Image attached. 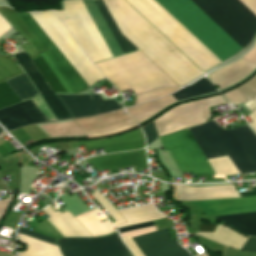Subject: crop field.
I'll use <instances>...</instances> for the list:
<instances>
[{"label":"crop field","instance_id":"4177f3b9","mask_svg":"<svg viewBox=\"0 0 256 256\" xmlns=\"http://www.w3.org/2000/svg\"><path fill=\"white\" fill-rule=\"evenodd\" d=\"M6 83L15 93V95L19 98L20 101L38 95L24 73L6 81Z\"/></svg>","mask_w":256,"mask_h":256},{"label":"crop field","instance_id":"c035e120","mask_svg":"<svg viewBox=\"0 0 256 256\" xmlns=\"http://www.w3.org/2000/svg\"><path fill=\"white\" fill-rule=\"evenodd\" d=\"M249 116L253 122L252 124H250V127L256 132V110Z\"/></svg>","mask_w":256,"mask_h":256},{"label":"crop field","instance_id":"cbeb9de0","mask_svg":"<svg viewBox=\"0 0 256 256\" xmlns=\"http://www.w3.org/2000/svg\"><path fill=\"white\" fill-rule=\"evenodd\" d=\"M42 121L48 119L31 100L0 110V123L8 131L24 124Z\"/></svg>","mask_w":256,"mask_h":256},{"label":"crop field","instance_id":"d3111659","mask_svg":"<svg viewBox=\"0 0 256 256\" xmlns=\"http://www.w3.org/2000/svg\"><path fill=\"white\" fill-rule=\"evenodd\" d=\"M22 73L12 58L0 56V82Z\"/></svg>","mask_w":256,"mask_h":256},{"label":"crop field","instance_id":"bc2a9ffb","mask_svg":"<svg viewBox=\"0 0 256 256\" xmlns=\"http://www.w3.org/2000/svg\"><path fill=\"white\" fill-rule=\"evenodd\" d=\"M256 65L239 59L236 62L221 68L207 77L220 89L226 88L249 75Z\"/></svg>","mask_w":256,"mask_h":256},{"label":"crop field","instance_id":"750c4746","mask_svg":"<svg viewBox=\"0 0 256 256\" xmlns=\"http://www.w3.org/2000/svg\"><path fill=\"white\" fill-rule=\"evenodd\" d=\"M92 196L99 202V204L108 212V214L116 221L114 225L125 222L122 216L114 209V207L105 199V197L97 190Z\"/></svg>","mask_w":256,"mask_h":256},{"label":"crop field","instance_id":"733c2abd","mask_svg":"<svg viewBox=\"0 0 256 256\" xmlns=\"http://www.w3.org/2000/svg\"><path fill=\"white\" fill-rule=\"evenodd\" d=\"M178 200L194 201L239 197L234 185H216L206 187L177 186Z\"/></svg>","mask_w":256,"mask_h":256},{"label":"crop field","instance_id":"ac0d7876","mask_svg":"<svg viewBox=\"0 0 256 256\" xmlns=\"http://www.w3.org/2000/svg\"><path fill=\"white\" fill-rule=\"evenodd\" d=\"M189 131L206 159L228 155L240 174L256 173V135L248 125L225 131L210 120ZM189 131L160 137L164 151H170L180 172L214 174Z\"/></svg>","mask_w":256,"mask_h":256},{"label":"crop field","instance_id":"d9b57169","mask_svg":"<svg viewBox=\"0 0 256 256\" xmlns=\"http://www.w3.org/2000/svg\"><path fill=\"white\" fill-rule=\"evenodd\" d=\"M97 171L132 166L133 170L147 168L145 150L115 153L86 159Z\"/></svg>","mask_w":256,"mask_h":256},{"label":"crop field","instance_id":"34b2d1b8","mask_svg":"<svg viewBox=\"0 0 256 256\" xmlns=\"http://www.w3.org/2000/svg\"><path fill=\"white\" fill-rule=\"evenodd\" d=\"M48 48L33 62L55 93H79L94 83L105 79L91 64L81 48L52 11L18 13Z\"/></svg>","mask_w":256,"mask_h":256},{"label":"crop field","instance_id":"5866460e","mask_svg":"<svg viewBox=\"0 0 256 256\" xmlns=\"http://www.w3.org/2000/svg\"><path fill=\"white\" fill-rule=\"evenodd\" d=\"M241 250L256 253V238H248Z\"/></svg>","mask_w":256,"mask_h":256},{"label":"crop field","instance_id":"e1f06a70","mask_svg":"<svg viewBox=\"0 0 256 256\" xmlns=\"http://www.w3.org/2000/svg\"><path fill=\"white\" fill-rule=\"evenodd\" d=\"M10 29V25L0 17V36L6 33Z\"/></svg>","mask_w":256,"mask_h":256},{"label":"crop field","instance_id":"a9b5d70f","mask_svg":"<svg viewBox=\"0 0 256 256\" xmlns=\"http://www.w3.org/2000/svg\"><path fill=\"white\" fill-rule=\"evenodd\" d=\"M174 102L177 101L170 95L166 98L158 99L147 104L127 109V112L131 114L138 123H141Z\"/></svg>","mask_w":256,"mask_h":256},{"label":"crop field","instance_id":"eef30255","mask_svg":"<svg viewBox=\"0 0 256 256\" xmlns=\"http://www.w3.org/2000/svg\"><path fill=\"white\" fill-rule=\"evenodd\" d=\"M49 136L83 134L74 121L40 126Z\"/></svg>","mask_w":256,"mask_h":256},{"label":"crop field","instance_id":"bd1437ed","mask_svg":"<svg viewBox=\"0 0 256 256\" xmlns=\"http://www.w3.org/2000/svg\"><path fill=\"white\" fill-rule=\"evenodd\" d=\"M19 102L5 82L0 83V109Z\"/></svg>","mask_w":256,"mask_h":256},{"label":"crop field","instance_id":"5a996713","mask_svg":"<svg viewBox=\"0 0 256 256\" xmlns=\"http://www.w3.org/2000/svg\"><path fill=\"white\" fill-rule=\"evenodd\" d=\"M57 243L64 256H132L117 233L101 238L58 239Z\"/></svg>","mask_w":256,"mask_h":256},{"label":"crop field","instance_id":"1d83c4d3","mask_svg":"<svg viewBox=\"0 0 256 256\" xmlns=\"http://www.w3.org/2000/svg\"><path fill=\"white\" fill-rule=\"evenodd\" d=\"M177 89H179V88H160V89H158L156 91H153V92L138 95L137 100H136V104L140 103V102H145V101H148V100H151V99H155V98L164 96L166 94H170V93L176 91Z\"/></svg>","mask_w":256,"mask_h":256},{"label":"crop field","instance_id":"d32e631a","mask_svg":"<svg viewBox=\"0 0 256 256\" xmlns=\"http://www.w3.org/2000/svg\"><path fill=\"white\" fill-rule=\"evenodd\" d=\"M145 135H146V139H147V145L150 144L153 140H155L156 138H158L155 128L153 126V123H150L144 127H142Z\"/></svg>","mask_w":256,"mask_h":256},{"label":"crop field","instance_id":"f4fd0767","mask_svg":"<svg viewBox=\"0 0 256 256\" xmlns=\"http://www.w3.org/2000/svg\"><path fill=\"white\" fill-rule=\"evenodd\" d=\"M94 1L123 54L137 51V49L120 33L102 0ZM94 1L83 0L113 57L122 55L119 46L117 45ZM83 2L82 0L64 1L65 11H55V13L65 23L76 41L93 63L112 58L110 51L101 38Z\"/></svg>","mask_w":256,"mask_h":256},{"label":"crop field","instance_id":"dafd665d","mask_svg":"<svg viewBox=\"0 0 256 256\" xmlns=\"http://www.w3.org/2000/svg\"><path fill=\"white\" fill-rule=\"evenodd\" d=\"M119 213L127 222L116 225L117 228L164 218L152 204L120 211Z\"/></svg>","mask_w":256,"mask_h":256},{"label":"crop field","instance_id":"00972430","mask_svg":"<svg viewBox=\"0 0 256 256\" xmlns=\"http://www.w3.org/2000/svg\"><path fill=\"white\" fill-rule=\"evenodd\" d=\"M98 212L99 211L97 208H95L88 212L77 215L75 218L93 237L103 236L115 232L116 229L108 221L101 223L98 220V218L94 215Z\"/></svg>","mask_w":256,"mask_h":256},{"label":"crop field","instance_id":"ae1a2a85","mask_svg":"<svg viewBox=\"0 0 256 256\" xmlns=\"http://www.w3.org/2000/svg\"><path fill=\"white\" fill-rule=\"evenodd\" d=\"M237 89L248 101L244 105L252 112L256 108V76Z\"/></svg>","mask_w":256,"mask_h":256},{"label":"crop field","instance_id":"dd49c442","mask_svg":"<svg viewBox=\"0 0 256 256\" xmlns=\"http://www.w3.org/2000/svg\"><path fill=\"white\" fill-rule=\"evenodd\" d=\"M204 73L222 63L155 0H126Z\"/></svg>","mask_w":256,"mask_h":256},{"label":"crop field","instance_id":"8a807250","mask_svg":"<svg viewBox=\"0 0 256 256\" xmlns=\"http://www.w3.org/2000/svg\"><path fill=\"white\" fill-rule=\"evenodd\" d=\"M221 61L246 47L256 33V0H157Z\"/></svg>","mask_w":256,"mask_h":256},{"label":"crop field","instance_id":"412701ff","mask_svg":"<svg viewBox=\"0 0 256 256\" xmlns=\"http://www.w3.org/2000/svg\"><path fill=\"white\" fill-rule=\"evenodd\" d=\"M121 33L178 86L203 73L124 0H103Z\"/></svg>","mask_w":256,"mask_h":256},{"label":"crop field","instance_id":"c21b1889","mask_svg":"<svg viewBox=\"0 0 256 256\" xmlns=\"http://www.w3.org/2000/svg\"><path fill=\"white\" fill-rule=\"evenodd\" d=\"M3 130L0 128V133L2 132Z\"/></svg>","mask_w":256,"mask_h":256},{"label":"crop field","instance_id":"0bd39190","mask_svg":"<svg viewBox=\"0 0 256 256\" xmlns=\"http://www.w3.org/2000/svg\"><path fill=\"white\" fill-rule=\"evenodd\" d=\"M217 224H199V231L213 232Z\"/></svg>","mask_w":256,"mask_h":256},{"label":"crop field","instance_id":"d1516ede","mask_svg":"<svg viewBox=\"0 0 256 256\" xmlns=\"http://www.w3.org/2000/svg\"><path fill=\"white\" fill-rule=\"evenodd\" d=\"M144 256H189L177 240L172 241L168 230H160L133 238Z\"/></svg>","mask_w":256,"mask_h":256},{"label":"crop field","instance_id":"28ad6ade","mask_svg":"<svg viewBox=\"0 0 256 256\" xmlns=\"http://www.w3.org/2000/svg\"><path fill=\"white\" fill-rule=\"evenodd\" d=\"M86 137L100 136L118 132L134 125L136 122L122 111L104 116H95L74 120Z\"/></svg>","mask_w":256,"mask_h":256},{"label":"crop field","instance_id":"e52e79f7","mask_svg":"<svg viewBox=\"0 0 256 256\" xmlns=\"http://www.w3.org/2000/svg\"><path fill=\"white\" fill-rule=\"evenodd\" d=\"M192 203L198 206L203 212L211 216L256 211V196L234 199L194 201ZM215 218L231 225L249 236H256V212L217 216Z\"/></svg>","mask_w":256,"mask_h":256},{"label":"crop field","instance_id":"3316defc","mask_svg":"<svg viewBox=\"0 0 256 256\" xmlns=\"http://www.w3.org/2000/svg\"><path fill=\"white\" fill-rule=\"evenodd\" d=\"M56 95L72 118L121 109L115 99H103L98 94Z\"/></svg>","mask_w":256,"mask_h":256},{"label":"crop field","instance_id":"730fd06b","mask_svg":"<svg viewBox=\"0 0 256 256\" xmlns=\"http://www.w3.org/2000/svg\"><path fill=\"white\" fill-rule=\"evenodd\" d=\"M216 91V89L209 83L206 78H202L199 81L195 82L189 87H186L174 94L172 96L177 100H183L186 98L198 96L201 94H206L209 92Z\"/></svg>","mask_w":256,"mask_h":256},{"label":"crop field","instance_id":"214f88e0","mask_svg":"<svg viewBox=\"0 0 256 256\" xmlns=\"http://www.w3.org/2000/svg\"><path fill=\"white\" fill-rule=\"evenodd\" d=\"M18 233L57 246L54 239L43 237L37 233L29 232L22 229H18ZM19 234V240L27 244V249L23 252H18V256H62L58 247Z\"/></svg>","mask_w":256,"mask_h":256},{"label":"crop field","instance_id":"22f410ed","mask_svg":"<svg viewBox=\"0 0 256 256\" xmlns=\"http://www.w3.org/2000/svg\"><path fill=\"white\" fill-rule=\"evenodd\" d=\"M22 69L25 71L29 79L38 89L39 93L43 97L45 103L57 118V120L68 119L70 116L61 105L45 79L42 77L32 60L27 56L25 52L14 56ZM72 118V117H71Z\"/></svg>","mask_w":256,"mask_h":256},{"label":"crop field","instance_id":"5142ce71","mask_svg":"<svg viewBox=\"0 0 256 256\" xmlns=\"http://www.w3.org/2000/svg\"><path fill=\"white\" fill-rule=\"evenodd\" d=\"M70 149L86 145L87 151L103 148L105 153H114L126 150L144 148V138L139 130L124 134L108 140H95L89 142H71L67 143Z\"/></svg>","mask_w":256,"mask_h":256},{"label":"crop field","instance_id":"4a817a6b","mask_svg":"<svg viewBox=\"0 0 256 256\" xmlns=\"http://www.w3.org/2000/svg\"><path fill=\"white\" fill-rule=\"evenodd\" d=\"M0 13L12 25V27L28 42L22 45V48L31 59L47 49L44 44L38 39V37L31 31V29L25 24V22L19 17V15L15 13L12 9L0 7Z\"/></svg>","mask_w":256,"mask_h":256},{"label":"crop field","instance_id":"d8731c3e","mask_svg":"<svg viewBox=\"0 0 256 256\" xmlns=\"http://www.w3.org/2000/svg\"><path fill=\"white\" fill-rule=\"evenodd\" d=\"M222 96L198 100L178 106L153 121L158 136L200 125L210 117L208 107L224 103Z\"/></svg>","mask_w":256,"mask_h":256},{"label":"crop field","instance_id":"028f5c9d","mask_svg":"<svg viewBox=\"0 0 256 256\" xmlns=\"http://www.w3.org/2000/svg\"><path fill=\"white\" fill-rule=\"evenodd\" d=\"M152 225H154L153 222L142 223V224L124 227V228L119 229L118 231H119V233H122V232L140 229V228H144V227H148V226H152Z\"/></svg>","mask_w":256,"mask_h":256},{"label":"crop field","instance_id":"120bbe31","mask_svg":"<svg viewBox=\"0 0 256 256\" xmlns=\"http://www.w3.org/2000/svg\"><path fill=\"white\" fill-rule=\"evenodd\" d=\"M225 95L234 106L241 104L243 102H246L244 97L239 93V91L237 89L230 91V92L226 93Z\"/></svg>","mask_w":256,"mask_h":256},{"label":"crop field","instance_id":"92a150f3","mask_svg":"<svg viewBox=\"0 0 256 256\" xmlns=\"http://www.w3.org/2000/svg\"><path fill=\"white\" fill-rule=\"evenodd\" d=\"M49 218L47 220L63 237H91L86 230L68 212H54L49 206L42 210Z\"/></svg>","mask_w":256,"mask_h":256},{"label":"crop field","instance_id":"b80d0937","mask_svg":"<svg viewBox=\"0 0 256 256\" xmlns=\"http://www.w3.org/2000/svg\"><path fill=\"white\" fill-rule=\"evenodd\" d=\"M243 58L256 64V46L252 49V51L250 53L245 55Z\"/></svg>","mask_w":256,"mask_h":256}]
</instances>
